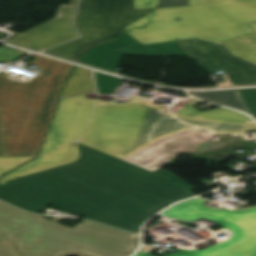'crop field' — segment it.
Wrapping results in <instances>:
<instances>
[{
	"instance_id": "8a807250",
	"label": "crop field",
	"mask_w": 256,
	"mask_h": 256,
	"mask_svg": "<svg viewBox=\"0 0 256 256\" xmlns=\"http://www.w3.org/2000/svg\"><path fill=\"white\" fill-rule=\"evenodd\" d=\"M80 159L0 185V199L37 213L48 204L135 233L194 189L166 170L151 172L79 143ZM70 179V182L65 180Z\"/></svg>"
},
{
	"instance_id": "ac0d7876",
	"label": "crop field",
	"mask_w": 256,
	"mask_h": 256,
	"mask_svg": "<svg viewBox=\"0 0 256 256\" xmlns=\"http://www.w3.org/2000/svg\"><path fill=\"white\" fill-rule=\"evenodd\" d=\"M86 94L60 100L39 157L1 177L0 184L77 160L80 153L74 140L123 159L163 137L194 127H256L242 122L198 121L136 97L118 104L88 100Z\"/></svg>"
},
{
	"instance_id": "34b2d1b8",
	"label": "crop field",
	"mask_w": 256,
	"mask_h": 256,
	"mask_svg": "<svg viewBox=\"0 0 256 256\" xmlns=\"http://www.w3.org/2000/svg\"><path fill=\"white\" fill-rule=\"evenodd\" d=\"M0 237L17 241L24 256H128L139 244L138 235L91 221L71 229L1 201Z\"/></svg>"
},
{
	"instance_id": "412701ff",
	"label": "crop field",
	"mask_w": 256,
	"mask_h": 256,
	"mask_svg": "<svg viewBox=\"0 0 256 256\" xmlns=\"http://www.w3.org/2000/svg\"><path fill=\"white\" fill-rule=\"evenodd\" d=\"M39 74L18 83L0 73V124L4 156L36 155L72 65L32 54Z\"/></svg>"
},
{
	"instance_id": "f4fd0767",
	"label": "crop field",
	"mask_w": 256,
	"mask_h": 256,
	"mask_svg": "<svg viewBox=\"0 0 256 256\" xmlns=\"http://www.w3.org/2000/svg\"><path fill=\"white\" fill-rule=\"evenodd\" d=\"M249 21H256V0H189L188 7L156 9L124 31L143 44L194 37L216 42L253 32Z\"/></svg>"
},
{
	"instance_id": "dd49c442",
	"label": "crop field",
	"mask_w": 256,
	"mask_h": 256,
	"mask_svg": "<svg viewBox=\"0 0 256 256\" xmlns=\"http://www.w3.org/2000/svg\"><path fill=\"white\" fill-rule=\"evenodd\" d=\"M205 200L181 202L163 212L167 217L198 221L200 218L223 226L215 231L218 243L204 250H178L168 256H256V208L233 211L205 208ZM135 256H150L138 252Z\"/></svg>"
},
{
	"instance_id": "e52e79f7",
	"label": "crop field",
	"mask_w": 256,
	"mask_h": 256,
	"mask_svg": "<svg viewBox=\"0 0 256 256\" xmlns=\"http://www.w3.org/2000/svg\"><path fill=\"white\" fill-rule=\"evenodd\" d=\"M152 10H133L132 0H81L75 17L81 37L45 52L78 61L90 47L116 39L125 24Z\"/></svg>"
},
{
	"instance_id": "d8731c3e",
	"label": "crop field",
	"mask_w": 256,
	"mask_h": 256,
	"mask_svg": "<svg viewBox=\"0 0 256 256\" xmlns=\"http://www.w3.org/2000/svg\"><path fill=\"white\" fill-rule=\"evenodd\" d=\"M179 42L207 73L225 70L234 85L256 84V65L232 56L222 45L197 38Z\"/></svg>"
},
{
	"instance_id": "5a996713",
	"label": "crop field",
	"mask_w": 256,
	"mask_h": 256,
	"mask_svg": "<svg viewBox=\"0 0 256 256\" xmlns=\"http://www.w3.org/2000/svg\"><path fill=\"white\" fill-rule=\"evenodd\" d=\"M75 9L6 41L42 51L64 41L76 38L78 35L71 23Z\"/></svg>"
},
{
	"instance_id": "3316defc",
	"label": "crop field",
	"mask_w": 256,
	"mask_h": 256,
	"mask_svg": "<svg viewBox=\"0 0 256 256\" xmlns=\"http://www.w3.org/2000/svg\"><path fill=\"white\" fill-rule=\"evenodd\" d=\"M203 134L201 132L183 131L161 139L124 160L153 171L183 152Z\"/></svg>"
},
{
	"instance_id": "28ad6ade",
	"label": "crop field",
	"mask_w": 256,
	"mask_h": 256,
	"mask_svg": "<svg viewBox=\"0 0 256 256\" xmlns=\"http://www.w3.org/2000/svg\"><path fill=\"white\" fill-rule=\"evenodd\" d=\"M247 24L254 33L216 43L224 45L233 55L256 64V22Z\"/></svg>"
},
{
	"instance_id": "d1516ede",
	"label": "crop field",
	"mask_w": 256,
	"mask_h": 256,
	"mask_svg": "<svg viewBox=\"0 0 256 256\" xmlns=\"http://www.w3.org/2000/svg\"><path fill=\"white\" fill-rule=\"evenodd\" d=\"M92 90H94L92 71L75 66L68 82L60 94V98Z\"/></svg>"
},
{
	"instance_id": "22f410ed",
	"label": "crop field",
	"mask_w": 256,
	"mask_h": 256,
	"mask_svg": "<svg viewBox=\"0 0 256 256\" xmlns=\"http://www.w3.org/2000/svg\"><path fill=\"white\" fill-rule=\"evenodd\" d=\"M191 95L204 99L207 101H211L214 103H218L221 105H225L228 107H232L235 109L242 110L244 112L249 113L246 108L244 102L239 96L237 90H227V91H212V92H190Z\"/></svg>"
},
{
	"instance_id": "cbeb9de0",
	"label": "crop field",
	"mask_w": 256,
	"mask_h": 256,
	"mask_svg": "<svg viewBox=\"0 0 256 256\" xmlns=\"http://www.w3.org/2000/svg\"><path fill=\"white\" fill-rule=\"evenodd\" d=\"M190 116L201 117V118H210V119H221V120H232V121H242L248 122L251 121L249 116H246L242 113L229 110L223 107L200 112Z\"/></svg>"
},
{
	"instance_id": "5142ce71",
	"label": "crop field",
	"mask_w": 256,
	"mask_h": 256,
	"mask_svg": "<svg viewBox=\"0 0 256 256\" xmlns=\"http://www.w3.org/2000/svg\"><path fill=\"white\" fill-rule=\"evenodd\" d=\"M98 94H113L123 79L95 72Z\"/></svg>"
},
{
	"instance_id": "d9b57169",
	"label": "crop field",
	"mask_w": 256,
	"mask_h": 256,
	"mask_svg": "<svg viewBox=\"0 0 256 256\" xmlns=\"http://www.w3.org/2000/svg\"><path fill=\"white\" fill-rule=\"evenodd\" d=\"M32 157L33 156L0 157V176L3 173L27 162Z\"/></svg>"
},
{
	"instance_id": "733c2abd",
	"label": "crop field",
	"mask_w": 256,
	"mask_h": 256,
	"mask_svg": "<svg viewBox=\"0 0 256 256\" xmlns=\"http://www.w3.org/2000/svg\"><path fill=\"white\" fill-rule=\"evenodd\" d=\"M27 52L11 47H0V63L6 64L18 60Z\"/></svg>"
},
{
	"instance_id": "4a817a6b",
	"label": "crop field",
	"mask_w": 256,
	"mask_h": 256,
	"mask_svg": "<svg viewBox=\"0 0 256 256\" xmlns=\"http://www.w3.org/2000/svg\"><path fill=\"white\" fill-rule=\"evenodd\" d=\"M250 113L256 118V88L238 90Z\"/></svg>"
},
{
	"instance_id": "bc2a9ffb",
	"label": "crop field",
	"mask_w": 256,
	"mask_h": 256,
	"mask_svg": "<svg viewBox=\"0 0 256 256\" xmlns=\"http://www.w3.org/2000/svg\"><path fill=\"white\" fill-rule=\"evenodd\" d=\"M0 256H20L14 249V242L6 239L0 240Z\"/></svg>"
},
{
	"instance_id": "214f88e0",
	"label": "crop field",
	"mask_w": 256,
	"mask_h": 256,
	"mask_svg": "<svg viewBox=\"0 0 256 256\" xmlns=\"http://www.w3.org/2000/svg\"><path fill=\"white\" fill-rule=\"evenodd\" d=\"M200 129V128H197ZM207 133H223V132H247L248 130H256V128H202Z\"/></svg>"
},
{
	"instance_id": "92a150f3",
	"label": "crop field",
	"mask_w": 256,
	"mask_h": 256,
	"mask_svg": "<svg viewBox=\"0 0 256 256\" xmlns=\"http://www.w3.org/2000/svg\"><path fill=\"white\" fill-rule=\"evenodd\" d=\"M189 103L178 113L180 114H184V115H190V114H193V113H197V112H200L199 110L193 108L192 106L202 102V101H198V100H194V99H189L188 100ZM169 107H165L163 109H168Z\"/></svg>"
},
{
	"instance_id": "dafd665d",
	"label": "crop field",
	"mask_w": 256,
	"mask_h": 256,
	"mask_svg": "<svg viewBox=\"0 0 256 256\" xmlns=\"http://www.w3.org/2000/svg\"><path fill=\"white\" fill-rule=\"evenodd\" d=\"M159 0H134L136 9L156 8Z\"/></svg>"
},
{
	"instance_id": "00972430",
	"label": "crop field",
	"mask_w": 256,
	"mask_h": 256,
	"mask_svg": "<svg viewBox=\"0 0 256 256\" xmlns=\"http://www.w3.org/2000/svg\"><path fill=\"white\" fill-rule=\"evenodd\" d=\"M188 0H162L158 8L187 6Z\"/></svg>"
},
{
	"instance_id": "a9b5d70f",
	"label": "crop field",
	"mask_w": 256,
	"mask_h": 256,
	"mask_svg": "<svg viewBox=\"0 0 256 256\" xmlns=\"http://www.w3.org/2000/svg\"><path fill=\"white\" fill-rule=\"evenodd\" d=\"M77 3H78V0H71L70 5H68V6H67V5H61V6L58 8V10H57L55 16H57V15H59V14H62V13H64V12L68 11V10H71V9L75 8V7L77 6Z\"/></svg>"
},
{
	"instance_id": "4177f3b9",
	"label": "crop field",
	"mask_w": 256,
	"mask_h": 256,
	"mask_svg": "<svg viewBox=\"0 0 256 256\" xmlns=\"http://www.w3.org/2000/svg\"><path fill=\"white\" fill-rule=\"evenodd\" d=\"M0 156H3V152H2V142H1V133H0Z\"/></svg>"
}]
</instances>
